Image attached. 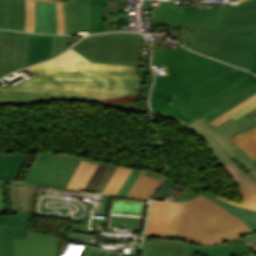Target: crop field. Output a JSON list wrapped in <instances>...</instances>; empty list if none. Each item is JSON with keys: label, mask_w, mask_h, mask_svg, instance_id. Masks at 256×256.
Returning a JSON list of instances; mask_svg holds the SVG:
<instances>
[{"label": "crop field", "mask_w": 256, "mask_h": 256, "mask_svg": "<svg viewBox=\"0 0 256 256\" xmlns=\"http://www.w3.org/2000/svg\"><path fill=\"white\" fill-rule=\"evenodd\" d=\"M28 69L35 76L0 88V105L54 100L94 101L110 108L134 105L142 81L137 68L92 63L72 49Z\"/></svg>", "instance_id": "crop-field-1"}, {"label": "crop field", "mask_w": 256, "mask_h": 256, "mask_svg": "<svg viewBox=\"0 0 256 256\" xmlns=\"http://www.w3.org/2000/svg\"><path fill=\"white\" fill-rule=\"evenodd\" d=\"M219 9L215 31L196 30L189 48L250 70L256 52V0H229Z\"/></svg>", "instance_id": "crop-field-2"}, {"label": "crop field", "mask_w": 256, "mask_h": 256, "mask_svg": "<svg viewBox=\"0 0 256 256\" xmlns=\"http://www.w3.org/2000/svg\"><path fill=\"white\" fill-rule=\"evenodd\" d=\"M233 68L179 46L164 65L166 76H157L153 88L174 95L166 113L191 124L209 111L190 89Z\"/></svg>", "instance_id": "crop-field-3"}, {"label": "crop field", "mask_w": 256, "mask_h": 256, "mask_svg": "<svg viewBox=\"0 0 256 256\" xmlns=\"http://www.w3.org/2000/svg\"><path fill=\"white\" fill-rule=\"evenodd\" d=\"M251 232L239 218L200 195L184 202L176 239L214 246Z\"/></svg>", "instance_id": "crop-field-4"}, {"label": "crop field", "mask_w": 256, "mask_h": 256, "mask_svg": "<svg viewBox=\"0 0 256 256\" xmlns=\"http://www.w3.org/2000/svg\"><path fill=\"white\" fill-rule=\"evenodd\" d=\"M152 115L166 117L181 126L189 129L207 144V147L218 163H223L234 159L240 162L247 169H252L249 162L253 160L247 153L239 147H234L229 139L239 133H244L256 126V118L251 120L247 116H242L237 120H228L225 123L215 127L202 117L193 124L189 125L170 115L161 114L152 111Z\"/></svg>", "instance_id": "crop-field-5"}, {"label": "crop field", "mask_w": 256, "mask_h": 256, "mask_svg": "<svg viewBox=\"0 0 256 256\" xmlns=\"http://www.w3.org/2000/svg\"><path fill=\"white\" fill-rule=\"evenodd\" d=\"M141 44L140 34L114 33L87 37L73 49L92 62L137 67Z\"/></svg>", "instance_id": "crop-field-6"}, {"label": "crop field", "mask_w": 256, "mask_h": 256, "mask_svg": "<svg viewBox=\"0 0 256 256\" xmlns=\"http://www.w3.org/2000/svg\"><path fill=\"white\" fill-rule=\"evenodd\" d=\"M82 157L43 152L39 155L26 182L66 188Z\"/></svg>", "instance_id": "crop-field-7"}, {"label": "crop field", "mask_w": 256, "mask_h": 256, "mask_svg": "<svg viewBox=\"0 0 256 256\" xmlns=\"http://www.w3.org/2000/svg\"><path fill=\"white\" fill-rule=\"evenodd\" d=\"M59 240L27 230V239H14V256H57Z\"/></svg>", "instance_id": "crop-field-8"}, {"label": "crop field", "mask_w": 256, "mask_h": 256, "mask_svg": "<svg viewBox=\"0 0 256 256\" xmlns=\"http://www.w3.org/2000/svg\"><path fill=\"white\" fill-rule=\"evenodd\" d=\"M102 5H107V0H78L79 31H110V28H105Z\"/></svg>", "instance_id": "crop-field-9"}, {"label": "crop field", "mask_w": 256, "mask_h": 256, "mask_svg": "<svg viewBox=\"0 0 256 256\" xmlns=\"http://www.w3.org/2000/svg\"><path fill=\"white\" fill-rule=\"evenodd\" d=\"M205 2H193V6L183 8V27L190 29L214 30L218 16V8L222 4H213V9H198V5Z\"/></svg>", "instance_id": "crop-field-10"}, {"label": "crop field", "mask_w": 256, "mask_h": 256, "mask_svg": "<svg viewBox=\"0 0 256 256\" xmlns=\"http://www.w3.org/2000/svg\"><path fill=\"white\" fill-rule=\"evenodd\" d=\"M25 0H0V28L24 31Z\"/></svg>", "instance_id": "crop-field-11"}, {"label": "crop field", "mask_w": 256, "mask_h": 256, "mask_svg": "<svg viewBox=\"0 0 256 256\" xmlns=\"http://www.w3.org/2000/svg\"><path fill=\"white\" fill-rule=\"evenodd\" d=\"M222 74L213 80H210L194 89H192L196 94L202 97L204 100L219 93L220 91L232 86L233 84L237 83L245 76H247L248 72L240 70L238 68Z\"/></svg>", "instance_id": "crop-field-12"}, {"label": "crop field", "mask_w": 256, "mask_h": 256, "mask_svg": "<svg viewBox=\"0 0 256 256\" xmlns=\"http://www.w3.org/2000/svg\"><path fill=\"white\" fill-rule=\"evenodd\" d=\"M196 252L207 256H254L247 246L241 244L238 240L215 247H196L189 244L184 256H194Z\"/></svg>", "instance_id": "crop-field-13"}, {"label": "crop field", "mask_w": 256, "mask_h": 256, "mask_svg": "<svg viewBox=\"0 0 256 256\" xmlns=\"http://www.w3.org/2000/svg\"><path fill=\"white\" fill-rule=\"evenodd\" d=\"M182 7L174 6V0L161 1L160 9L152 8V0L145 1L141 9H153L152 19L158 20L159 26L182 27Z\"/></svg>", "instance_id": "crop-field-14"}, {"label": "crop field", "mask_w": 256, "mask_h": 256, "mask_svg": "<svg viewBox=\"0 0 256 256\" xmlns=\"http://www.w3.org/2000/svg\"><path fill=\"white\" fill-rule=\"evenodd\" d=\"M256 76L250 74L237 84L233 85L229 89L205 100L204 102L200 103L204 107H206L208 110H212L216 106L223 107L239 95H241L243 92L251 88L256 84Z\"/></svg>", "instance_id": "crop-field-15"}, {"label": "crop field", "mask_w": 256, "mask_h": 256, "mask_svg": "<svg viewBox=\"0 0 256 256\" xmlns=\"http://www.w3.org/2000/svg\"><path fill=\"white\" fill-rule=\"evenodd\" d=\"M187 245V243L168 240L144 242L140 256H183Z\"/></svg>", "instance_id": "crop-field-16"}, {"label": "crop field", "mask_w": 256, "mask_h": 256, "mask_svg": "<svg viewBox=\"0 0 256 256\" xmlns=\"http://www.w3.org/2000/svg\"><path fill=\"white\" fill-rule=\"evenodd\" d=\"M37 187L12 183L14 213L32 214Z\"/></svg>", "instance_id": "crop-field-17"}, {"label": "crop field", "mask_w": 256, "mask_h": 256, "mask_svg": "<svg viewBox=\"0 0 256 256\" xmlns=\"http://www.w3.org/2000/svg\"><path fill=\"white\" fill-rule=\"evenodd\" d=\"M35 32L56 34V3L37 1Z\"/></svg>", "instance_id": "crop-field-18"}, {"label": "crop field", "mask_w": 256, "mask_h": 256, "mask_svg": "<svg viewBox=\"0 0 256 256\" xmlns=\"http://www.w3.org/2000/svg\"><path fill=\"white\" fill-rule=\"evenodd\" d=\"M20 34L21 33L14 31L7 32L0 63V73L2 76L13 70L21 68L16 67V54Z\"/></svg>", "instance_id": "crop-field-19"}, {"label": "crop field", "mask_w": 256, "mask_h": 256, "mask_svg": "<svg viewBox=\"0 0 256 256\" xmlns=\"http://www.w3.org/2000/svg\"><path fill=\"white\" fill-rule=\"evenodd\" d=\"M169 202H152L145 236L162 237Z\"/></svg>", "instance_id": "crop-field-20"}, {"label": "crop field", "mask_w": 256, "mask_h": 256, "mask_svg": "<svg viewBox=\"0 0 256 256\" xmlns=\"http://www.w3.org/2000/svg\"><path fill=\"white\" fill-rule=\"evenodd\" d=\"M203 195L207 196L208 198L214 200L216 203L221 205L223 208H225L230 213L238 216L240 219H242L249 228L253 231L250 234H247L240 238L243 242L256 239V211L250 210V209H243L238 208L230 204H226L218 199L215 198L216 194L212 192H206Z\"/></svg>", "instance_id": "crop-field-21"}, {"label": "crop field", "mask_w": 256, "mask_h": 256, "mask_svg": "<svg viewBox=\"0 0 256 256\" xmlns=\"http://www.w3.org/2000/svg\"><path fill=\"white\" fill-rule=\"evenodd\" d=\"M52 36L53 35H32L28 65L51 57Z\"/></svg>", "instance_id": "crop-field-22"}, {"label": "crop field", "mask_w": 256, "mask_h": 256, "mask_svg": "<svg viewBox=\"0 0 256 256\" xmlns=\"http://www.w3.org/2000/svg\"><path fill=\"white\" fill-rule=\"evenodd\" d=\"M144 171L145 170L141 172V174L134 182L127 197L150 200L151 196L162 182L161 180L142 175Z\"/></svg>", "instance_id": "crop-field-23"}, {"label": "crop field", "mask_w": 256, "mask_h": 256, "mask_svg": "<svg viewBox=\"0 0 256 256\" xmlns=\"http://www.w3.org/2000/svg\"><path fill=\"white\" fill-rule=\"evenodd\" d=\"M117 166L100 162L84 190L101 193Z\"/></svg>", "instance_id": "crop-field-24"}, {"label": "crop field", "mask_w": 256, "mask_h": 256, "mask_svg": "<svg viewBox=\"0 0 256 256\" xmlns=\"http://www.w3.org/2000/svg\"><path fill=\"white\" fill-rule=\"evenodd\" d=\"M98 162L82 158L67 188L83 190Z\"/></svg>", "instance_id": "crop-field-25"}, {"label": "crop field", "mask_w": 256, "mask_h": 256, "mask_svg": "<svg viewBox=\"0 0 256 256\" xmlns=\"http://www.w3.org/2000/svg\"><path fill=\"white\" fill-rule=\"evenodd\" d=\"M26 153H1L0 152V180L11 181L16 169Z\"/></svg>", "instance_id": "crop-field-26"}, {"label": "crop field", "mask_w": 256, "mask_h": 256, "mask_svg": "<svg viewBox=\"0 0 256 256\" xmlns=\"http://www.w3.org/2000/svg\"><path fill=\"white\" fill-rule=\"evenodd\" d=\"M222 166L226 169V171L230 174V176L235 180L240 189L252 191L256 193V182L248 176L244 170H242L239 165L230 161L227 163H223Z\"/></svg>", "instance_id": "crop-field-27"}, {"label": "crop field", "mask_w": 256, "mask_h": 256, "mask_svg": "<svg viewBox=\"0 0 256 256\" xmlns=\"http://www.w3.org/2000/svg\"><path fill=\"white\" fill-rule=\"evenodd\" d=\"M32 215L13 214L0 216V225H8L14 228L13 238H26L27 219Z\"/></svg>", "instance_id": "crop-field-28"}, {"label": "crop field", "mask_w": 256, "mask_h": 256, "mask_svg": "<svg viewBox=\"0 0 256 256\" xmlns=\"http://www.w3.org/2000/svg\"><path fill=\"white\" fill-rule=\"evenodd\" d=\"M254 108H256V94L246 99L245 101H243L242 103H240L239 105H237L236 107L229 110L228 112L221 115L220 117H218L210 123L216 126L230 118L235 120Z\"/></svg>", "instance_id": "crop-field-29"}, {"label": "crop field", "mask_w": 256, "mask_h": 256, "mask_svg": "<svg viewBox=\"0 0 256 256\" xmlns=\"http://www.w3.org/2000/svg\"><path fill=\"white\" fill-rule=\"evenodd\" d=\"M230 140L247 152L253 159L256 158V127Z\"/></svg>", "instance_id": "crop-field-30"}, {"label": "crop field", "mask_w": 256, "mask_h": 256, "mask_svg": "<svg viewBox=\"0 0 256 256\" xmlns=\"http://www.w3.org/2000/svg\"><path fill=\"white\" fill-rule=\"evenodd\" d=\"M65 5L66 34L78 32V6L77 0H67Z\"/></svg>", "instance_id": "crop-field-31"}, {"label": "crop field", "mask_w": 256, "mask_h": 256, "mask_svg": "<svg viewBox=\"0 0 256 256\" xmlns=\"http://www.w3.org/2000/svg\"><path fill=\"white\" fill-rule=\"evenodd\" d=\"M181 205L182 203L170 202L168 217H167L163 237H166V238L175 237L179 216H180Z\"/></svg>", "instance_id": "crop-field-32"}, {"label": "crop field", "mask_w": 256, "mask_h": 256, "mask_svg": "<svg viewBox=\"0 0 256 256\" xmlns=\"http://www.w3.org/2000/svg\"><path fill=\"white\" fill-rule=\"evenodd\" d=\"M255 93H256V85L254 87H252L251 89H249L248 91H246L245 93H243L241 96H239L235 100H233L232 102H230L229 104H227L226 106H224L223 108L219 109L216 107L214 110H212L210 113L204 115L203 117L210 122L213 119L220 116L221 114L228 111L229 109L233 108L234 106H236L237 104H239L240 102L245 100L246 98L254 95Z\"/></svg>", "instance_id": "crop-field-33"}, {"label": "crop field", "mask_w": 256, "mask_h": 256, "mask_svg": "<svg viewBox=\"0 0 256 256\" xmlns=\"http://www.w3.org/2000/svg\"><path fill=\"white\" fill-rule=\"evenodd\" d=\"M172 99L173 96L153 89L151 97L152 110L165 113Z\"/></svg>", "instance_id": "crop-field-34"}, {"label": "crop field", "mask_w": 256, "mask_h": 256, "mask_svg": "<svg viewBox=\"0 0 256 256\" xmlns=\"http://www.w3.org/2000/svg\"><path fill=\"white\" fill-rule=\"evenodd\" d=\"M32 34H25L22 33L19 48H18V54H17V66H27L28 63V49H29V43L31 39Z\"/></svg>", "instance_id": "crop-field-35"}, {"label": "crop field", "mask_w": 256, "mask_h": 256, "mask_svg": "<svg viewBox=\"0 0 256 256\" xmlns=\"http://www.w3.org/2000/svg\"><path fill=\"white\" fill-rule=\"evenodd\" d=\"M216 198H218L226 203L236 205L238 207H244V208H250V209L256 210V194L252 193V192L241 190L242 204L232 202V201L224 199L218 195Z\"/></svg>", "instance_id": "crop-field-36"}, {"label": "crop field", "mask_w": 256, "mask_h": 256, "mask_svg": "<svg viewBox=\"0 0 256 256\" xmlns=\"http://www.w3.org/2000/svg\"><path fill=\"white\" fill-rule=\"evenodd\" d=\"M12 228H7L6 233H0V256H13L12 250Z\"/></svg>", "instance_id": "crop-field-37"}, {"label": "crop field", "mask_w": 256, "mask_h": 256, "mask_svg": "<svg viewBox=\"0 0 256 256\" xmlns=\"http://www.w3.org/2000/svg\"><path fill=\"white\" fill-rule=\"evenodd\" d=\"M35 3L34 0H26V32H34L35 29Z\"/></svg>", "instance_id": "crop-field-38"}, {"label": "crop field", "mask_w": 256, "mask_h": 256, "mask_svg": "<svg viewBox=\"0 0 256 256\" xmlns=\"http://www.w3.org/2000/svg\"><path fill=\"white\" fill-rule=\"evenodd\" d=\"M69 47V36L54 35L52 41V57Z\"/></svg>", "instance_id": "crop-field-39"}, {"label": "crop field", "mask_w": 256, "mask_h": 256, "mask_svg": "<svg viewBox=\"0 0 256 256\" xmlns=\"http://www.w3.org/2000/svg\"><path fill=\"white\" fill-rule=\"evenodd\" d=\"M172 50L162 46L161 51H153L152 65L163 66Z\"/></svg>", "instance_id": "crop-field-40"}, {"label": "crop field", "mask_w": 256, "mask_h": 256, "mask_svg": "<svg viewBox=\"0 0 256 256\" xmlns=\"http://www.w3.org/2000/svg\"><path fill=\"white\" fill-rule=\"evenodd\" d=\"M141 171L142 170H136V169L132 170V172L130 173L129 177L127 178V180L125 181L124 185L122 186V188L120 189V191L118 192L117 195L126 197V195L129 192L134 180L136 179V177L139 175V173Z\"/></svg>", "instance_id": "crop-field-41"}, {"label": "crop field", "mask_w": 256, "mask_h": 256, "mask_svg": "<svg viewBox=\"0 0 256 256\" xmlns=\"http://www.w3.org/2000/svg\"><path fill=\"white\" fill-rule=\"evenodd\" d=\"M194 31L195 30L183 29L182 34L178 35L175 41L186 47H189Z\"/></svg>", "instance_id": "crop-field-42"}, {"label": "crop field", "mask_w": 256, "mask_h": 256, "mask_svg": "<svg viewBox=\"0 0 256 256\" xmlns=\"http://www.w3.org/2000/svg\"><path fill=\"white\" fill-rule=\"evenodd\" d=\"M132 169H128L126 168L124 170V172L122 173V175L119 177V179L116 181V183L114 184L110 194L112 195H116L117 192L119 191V189L121 188V186L123 185L124 181L126 180V178L128 177L129 173L131 172Z\"/></svg>", "instance_id": "crop-field-43"}, {"label": "crop field", "mask_w": 256, "mask_h": 256, "mask_svg": "<svg viewBox=\"0 0 256 256\" xmlns=\"http://www.w3.org/2000/svg\"><path fill=\"white\" fill-rule=\"evenodd\" d=\"M124 168L122 167H117L115 173L113 174L112 178L110 179L108 185L106 186V188L104 189L103 193L109 194L113 184L115 183V181L118 179V177L121 175L122 171Z\"/></svg>", "instance_id": "crop-field-44"}, {"label": "crop field", "mask_w": 256, "mask_h": 256, "mask_svg": "<svg viewBox=\"0 0 256 256\" xmlns=\"http://www.w3.org/2000/svg\"><path fill=\"white\" fill-rule=\"evenodd\" d=\"M57 21H65L64 6L60 3H57Z\"/></svg>", "instance_id": "crop-field-45"}, {"label": "crop field", "mask_w": 256, "mask_h": 256, "mask_svg": "<svg viewBox=\"0 0 256 256\" xmlns=\"http://www.w3.org/2000/svg\"><path fill=\"white\" fill-rule=\"evenodd\" d=\"M197 195H200V194L197 192H193V191H185L178 201H185V200L191 199Z\"/></svg>", "instance_id": "crop-field-46"}, {"label": "crop field", "mask_w": 256, "mask_h": 256, "mask_svg": "<svg viewBox=\"0 0 256 256\" xmlns=\"http://www.w3.org/2000/svg\"><path fill=\"white\" fill-rule=\"evenodd\" d=\"M116 108L125 110V111L148 113V111H143L140 109V107H136V106H125V107H116Z\"/></svg>", "instance_id": "crop-field-47"}, {"label": "crop field", "mask_w": 256, "mask_h": 256, "mask_svg": "<svg viewBox=\"0 0 256 256\" xmlns=\"http://www.w3.org/2000/svg\"><path fill=\"white\" fill-rule=\"evenodd\" d=\"M2 214H5V210H4L2 186H1V182H0V215H2Z\"/></svg>", "instance_id": "crop-field-48"}, {"label": "crop field", "mask_w": 256, "mask_h": 256, "mask_svg": "<svg viewBox=\"0 0 256 256\" xmlns=\"http://www.w3.org/2000/svg\"><path fill=\"white\" fill-rule=\"evenodd\" d=\"M57 34H65V22H57Z\"/></svg>", "instance_id": "crop-field-49"}, {"label": "crop field", "mask_w": 256, "mask_h": 256, "mask_svg": "<svg viewBox=\"0 0 256 256\" xmlns=\"http://www.w3.org/2000/svg\"><path fill=\"white\" fill-rule=\"evenodd\" d=\"M6 32L7 31H5V30H0V57H1V52H2V47H3ZM0 77H1V75H0Z\"/></svg>", "instance_id": "crop-field-50"}, {"label": "crop field", "mask_w": 256, "mask_h": 256, "mask_svg": "<svg viewBox=\"0 0 256 256\" xmlns=\"http://www.w3.org/2000/svg\"><path fill=\"white\" fill-rule=\"evenodd\" d=\"M144 175L154 177V178H158V179H162V180H164V178H165V176H162V175L157 174V173L149 172V171H145Z\"/></svg>", "instance_id": "crop-field-51"}, {"label": "crop field", "mask_w": 256, "mask_h": 256, "mask_svg": "<svg viewBox=\"0 0 256 256\" xmlns=\"http://www.w3.org/2000/svg\"><path fill=\"white\" fill-rule=\"evenodd\" d=\"M246 173L249 174L252 177V179H254L256 181V168H254Z\"/></svg>", "instance_id": "crop-field-52"}, {"label": "crop field", "mask_w": 256, "mask_h": 256, "mask_svg": "<svg viewBox=\"0 0 256 256\" xmlns=\"http://www.w3.org/2000/svg\"><path fill=\"white\" fill-rule=\"evenodd\" d=\"M247 115L248 117H250L251 119L256 117V109L250 111L249 113L245 114Z\"/></svg>", "instance_id": "crop-field-53"}, {"label": "crop field", "mask_w": 256, "mask_h": 256, "mask_svg": "<svg viewBox=\"0 0 256 256\" xmlns=\"http://www.w3.org/2000/svg\"><path fill=\"white\" fill-rule=\"evenodd\" d=\"M246 244H248L250 247H252L256 250V240L246 242Z\"/></svg>", "instance_id": "crop-field-54"}, {"label": "crop field", "mask_w": 256, "mask_h": 256, "mask_svg": "<svg viewBox=\"0 0 256 256\" xmlns=\"http://www.w3.org/2000/svg\"><path fill=\"white\" fill-rule=\"evenodd\" d=\"M28 154H29V153L26 154L25 158L28 156ZM25 158L23 159V161L25 160ZM23 161H22V163H23ZM22 163L20 164L19 168L17 169V171H16V173H15V175H14L12 181H14V179H15V177H16V175H17V173H18V171H19V169H20Z\"/></svg>", "instance_id": "crop-field-55"}, {"label": "crop field", "mask_w": 256, "mask_h": 256, "mask_svg": "<svg viewBox=\"0 0 256 256\" xmlns=\"http://www.w3.org/2000/svg\"><path fill=\"white\" fill-rule=\"evenodd\" d=\"M252 72L256 73V56H255V60H254V63H253V66H252Z\"/></svg>", "instance_id": "crop-field-56"}, {"label": "crop field", "mask_w": 256, "mask_h": 256, "mask_svg": "<svg viewBox=\"0 0 256 256\" xmlns=\"http://www.w3.org/2000/svg\"><path fill=\"white\" fill-rule=\"evenodd\" d=\"M6 228H7V226H0V232H5Z\"/></svg>", "instance_id": "crop-field-57"}, {"label": "crop field", "mask_w": 256, "mask_h": 256, "mask_svg": "<svg viewBox=\"0 0 256 256\" xmlns=\"http://www.w3.org/2000/svg\"><path fill=\"white\" fill-rule=\"evenodd\" d=\"M42 1H51V2H60V3H63V2L57 1V0H42Z\"/></svg>", "instance_id": "crop-field-58"}, {"label": "crop field", "mask_w": 256, "mask_h": 256, "mask_svg": "<svg viewBox=\"0 0 256 256\" xmlns=\"http://www.w3.org/2000/svg\"><path fill=\"white\" fill-rule=\"evenodd\" d=\"M152 239H155V238H152V237H145L144 240H152Z\"/></svg>", "instance_id": "crop-field-59"}, {"label": "crop field", "mask_w": 256, "mask_h": 256, "mask_svg": "<svg viewBox=\"0 0 256 256\" xmlns=\"http://www.w3.org/2000/svg\"><path fill=\"white\" fill-rule=\"evenodd\" d=\"M251 164H253L256 167V159L253 160L252 162H250Z\"/></svg>", "instance_id": "crop-field-60"}, {"label": "crop field", "mask_w": 256, "mask_h": 256, "mask_svg": "<svg viewBox=\"0 0 256 256\" xmlns=\"http://www.w3.org/2000/svg\"><path fill=\"white\" fill-rule=\"evenodd\" d=\"M62 1H65V0H62Z\"/></svg>", "instance_id": "crop-field-61"}]
</instances>
